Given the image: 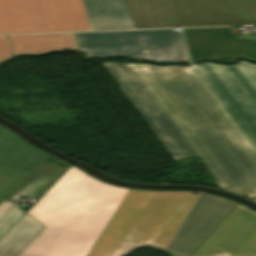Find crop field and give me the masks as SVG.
<instances>
[{
    "instance_id": "obj_1",
    "label": "crop field",
    "mask_w": 256,
    "mask_h": 256,
    "mask_svg": "<svg viewBox=\"0 0 256 256\" xmlns=\"http://www.w3.org/2000/svg\"><path fill=\"white\" fill-rule=\"evenodd\" d=\"M107 63L179 159H185L116 64L112 62L103 63L167 151L177 161L167 144L154 130L144 114L109 70ZM117 64L186 154L187 158L193 157V153L159 111L156 107L157 105L155 106L154 101L152 102L137 79L145 84L160 106L184 134L210 173L216 178L221 189L247 198L256 197V151L210 93L192 66L158 67L150 64Z\"/></svg>"
},
{
    "instance_id": "obj_2",
    "label": "crop field",
    "mask_w": 256,
    "mask_h": 256,
    "mask_svg": "<svg viewBox=\"0 0 256 256\" xmlns=\"http://www.w3.org/2000/svg\"><path fill=\"white\" fill-rule=\"evenodd\" d=\"M128 190L72 165L27 212L46 229L20 256H87Z\"/></svg>"
},
{
    "instance_id": "obj_3",
    "label": "crop field",
    "mask_w": 256,
    "mask_h": 256,
    "mask_svg": "<svg viewBox=\"0 0 256 256\" xmlns=\"http://www.w3.org/2000/svg\"><path fill=\"white\" fill-rule=\"evenodd\" d=\"M131 189L88 256H123L141 246L169 253L217 198Z\"/></svg>"
},
{
    "instance_id": "obj_4",
    "label": "crop field",
    "mask_w": 256,
    "mask_h": 256,
    "mask_svg": "<svg viewBox=\"0 0 256 256\" xmlns=\"http://www.w3.org/2000/svg\"><path fill=\"white\" fill-rule=\"evenodd\" d=\"M72 49L89 59L123 55L156 63H189L180 31H129L70 33Z\"/></svg>"
},
{
    "instance_id": "obj_5",
    "label": "crop field",
    "mask_w": 256,
    "mask_h": 256,
    "mask_svg": "<svg viewBox=\"0 0 256 256\" xmlns=\"http://www.w3.org/2000/svg\"><path fill=\"white\" fill-rule=\"evenodd\" d=\"M196 73L256 149V65L201 63Z\"/></svg>"
},
{
    "instance_id": "obj_6",
    "label": "crop field",
    "mask_w": 256,
    "mask_h": 256,
    "mask_svg": "<svg viewBox=\"0 0 256 256\" xmlns=\"http://www.w3.org/2000/svg\"><path fill=\"white\" fill-rule=\"evenodd\" d=\"M89 30L80 0H0V33Z\"/></svg>"
},
{
    "instance_id": "obj_7",
    "label": "crop field",
    "mask_w": 256,
    "mask_h": 256,
    "mask_svg": "<svg viewBox=\"0 0 256 256\" xmlns=\"http://www.w3.org/2000/svg\"><path fill=\"white\" fill-rule=\"evenodd\" d=\"M193 255L256 256V212L238 204Z\"/></svg>"
},
{
    "instance_id": "obj_8",
    "label": "crop field",
    "mask_w": 256,
    "mask_h": 256,
    "mask_svg": "<svg viewBox=\"0 0 256 256\" xmlns=\"http://www.w3.org/2000/svg\"><path fill=\"white\" fill-rule=\"evenodd\" d=\"M183 27L255 25L256 0H175Z\"/></svg>"
},
{
    "instance_id": "obj_9",
    "label": "crop field",
    "mask_w": 256,
    "mask_h": 256,
    "mask_svg": "<svg viewBox=\"0 0 256 256\" xmlns=\"http://www.w3.org/2000/svg\"><path fill=\"white\" fill-rule=\"evenodd\" d=\"M19 138L0 126V203L48 155Z\"/></svg>"
},
{
    "instance_id": "obj_10",
    "label": "crop field",
    "mask_w": 256,
    "mask_h": 256,
    "mask_svg": "<svg viewBox=\"0 0 256 256\" xmlns=\"http://www.w3.org/2000/svg\"><path fill=\"white\" fill-rule=\"evenodd\" d=\"M134 29L182 27L174 0H126Z\"/></svg>"
},
{
    "instance_id": "obj_11",
    "label": "crop field",
    "mask_w": 256,
    "mask_h": 256,
    "mask_svg": "<svg viewBox=\"0 0 256 256\" xmlns=\"http://www.w3.org/2000/svg\"><path fill=\"white\" fill-rule=\"evenodd\" d=\"M90 30L133 29L125 0H81Z\"/></svg>"
},
{
    "instance_id": "obj_12",
    "label": "crop field",
    "mask_w": 256,
    "mask_h": 256,
    "mask_svg": "<svg viewBox=\"0 0 256 256\" xmlns=\"http://www.w3.org/2000/svg\"><path fill=\"white\" fill-rule=\"evenodd\" d=\"M236 205L237 203L235 202L221 198L209 213L189 233V235L169 255L191 256Z\"/></svg>"
},
{
    "instance_id": "obj_13",
    "label": "crop field",
    "mask_w": 256,
    "mask_h": 256,
    "mask_svg": "<svg viewBox=\"0 0 256 256\" xmlns=\"http://www.w3.org/2000/svg\"><path fill=\"white\" fill-rule=\"evenodd\" d=\"M44 228L26 214L0 240V256H19Z\"/></svg>"
},
{
    "instance_id": "obj_14",
    "label": "crop field",
    "mask_w": 256,
    "mask_h": 256,
    "mask_svg": "<svg viewBox=\"0 0 256 256\" xmlns=\"http://www.w3.org/2000/svg\"><path fill=\"white\" fill-rule=\"evenodd\" d=\"M9 38L14 55L71 49L69 33L9 36Z\"/></svg>"
},
{
    "instance_id": "obj_15",
    "label": "crop field",
    "mask_w": 256,
    "mask_h": 256,
    "mask_svg": "<svg viewBox=\"0 0 256 256\" xmlns=\"http://www.w3.org/2000/svg\"><path fill=\"white\" fill-rule=\"evenodd\" d=\"M24 214L17 205L11 207L0 219V237Z\"/></svg>"
},
{
    "instance_id": "obj_16",
    "label": "crop field",
    "mask_w": 256,
    "mask_h": 256,
    "mask_svg": "<svg viewBox=\"0 0 256 256\" xmlns=\"http://www.w3.org/2000/svg\"><path fill=\"white\" fill-rule=\"evenodd\" d=\"M10 56L12 55L7 41V37L0 36V62Z\"/></svg>"
},
{
    "instance_id": "obj_17",
    "label": "crop field",
    "mask_w": 256,
    "mask_h": 256,
    "mask_svg": "<svg viewBox=\"0 0 256 256\" xmlns=\"http://www.w3.org/2000/svg\"><path fill=\"white\" fill-rule=\"evenodd\" d=\"M140 82V81H139ZM141 83V82H140ZM142 86L145 88V90L148 92L150 95L151 99L154 101V103L157 105V107L160 109V111L164 114V116L168 119V121L172 124V126L175 128V130L178 132L180 137L186 142V144L189 146V148L192 150V152L197 156L196 152L194 149L190 146V144L187 142V140L184 138V136L181 134V132L178 130V128L175 126V124L172 122V120L168 117V115L164 112V110L159 106V104L156 102V100L153 98V96L150 94V92L147 90V88L144 86L143 83H141Z\"/></svg>"
},
{
    "instance_id": "obj_18",
    "label": "crop field",
    "mask_w": 256,
    "mask_h": 256,
    "mask_svg": "<svg viewBox=\"0 0 256 256\" xmlns=\"http://www.w3.org/2000/svg\"><path fill=\"white\" fill-rule=\"evenodd\" d=\"M12 203L3 201L0 204V216L3 214V212L11 205Z\"/></svg>"
},
{
    "instance_id": "obj_19",
    "label": "crop field",
    "mask_w": 256,
    "mask_h": 256,
    "mask_svg": "<svg viewBox=\"0 0 256 256\" xmlns=\"http://www.w3.org/2000/svg\"><path fill=\"white\" fill-rule=\"evenodd\" d=\"M122 71V70H121ZM123 72V71H122ZM124 74V73H123ZM125 75V74H124ZM126 77V75H125ZM127 78V77H126ZM127 80L129 81V79L127 78ZM129 83L132 85V83L129 81ZM132 87L135 89V87L132 85ZM135 91L138 93V91L135 89ZM138 95L141 97V95L138 93ZM141 99L144 101V99L141 97ZM144 103L146 104V106L149 108V110L152 112V110L150 109V107L147 105V103L144 101ZM153 113V112H152ZM154 115V113H153ZM155 116V115H154ZM156 117V116H155ZM157 118V117H156ZM159 121V120H158ZM165 128V127H164ZM168 132V131H167ZM171 137V136H170ZM174 141V140H173ZM175 142V141H174ZM177 145V144H176ZM178 146V145H177ZM180 149V148H179ZM181 150V149H180ZM182 152V150H181ZM183 153V152H182ZM183 155L185 156V154L183 153ZM186 158V156H185Z\"/></svg>"
},
{
    "instance_id": "obj_20",
    "label": "crop field",
    "mask_w": 256,
    "mask_h": 256,
    "mask_svg": "<svg viewBox=\"0 0 256 256\" xmlns=\"http://www.w3.org/2000/svg\"><path fill=\"white\" fill-rule=\"evenodd\" d=\"M108 65V64H107ZM109 67V66H108ZM110 68V67H109ZM111 70V69H110ZM112 71V70H111ZM113 72V71H112ZM114 74V73H113ZM115 75V74H114ZM116 76V75H115ZM117 78V77H116ZM118 79V78H117ZM119 80V79H118ZM120 81V80H119ZM121 83V82H120ZM122 84V83H121ZM123 85V84H122ZM125 88V87H124ZM126 89V88H125ZM128 92V91H127ZM131 96V95H130ZM134 100V99H133ZM136 103V102H135ZM137 104V103H136ZM139 107V106H138ZM140 108V107H139ZM143 112V111H142ZM144 113V112H143ZM146 116V115H145ZM147 117V116H146ZM148 119V118H147ZM149 120V119H148ZM150 121V120H149ZM151 123V122H150ZM152 124V123H151ZM153 126V124H152ZM154 127V126H153ZM155 128V127H154ZM156 130V128H155ZM157 131V130H156ZM158 132V131H157ZM159 133V132H158ZM161 136V135H160ZM162 137V136H161ZM169 146V145H168ZM170 148V147H169ZM170 150L172 151V149L170 148ZM173 152V151H172ZM173 154L175 155V153L173 152ZM176 156V155H175ZM176 158L178 159V157L176 156Z\"/></svg>"
},
{
    "instance_id": "obj_21",
    "label": "crop field",
    "mask_w": 256,
    "mask_h": 256,
    "mask_svg": "<svg viewBox=\"0 0 256 256\" xmlns=\"http://www.w3.org/2000/svg\"><path fill=\"white\" fill-rule=\"evenodd\" d=\"M253 201H255V202H256V199H254Z\"/></svg>"
}]
</instances>
